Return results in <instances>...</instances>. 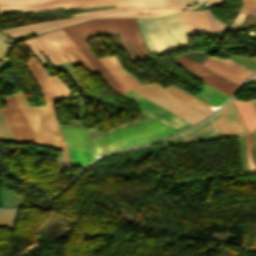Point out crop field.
<instances>
[{
  "label": "crop field",
  "instance_id": "ac0d7876",
  "mask_svg": "<svg viewBox=\"0 0 256 256\" xmlns=\"http://www.w3.org/2000/svg\"><path fill=\"white\" fill-rule=\"evenodd\" d=\"M63 30L73 41L76 47L81 51V53L86 57V59L91 63V65L96 69V71L101 75V77L106 81V83L111 87V89L120 95L126 92L114 79L110 72L105 68V66L100 62V60L90 51L87 45L88 41L84 36L102 32H118L125 49L134 60H138V58L133 53L128 43V40L140 59H143L144 57H149V54L142 42L139 29L134 18L96 19L93 21L63 28ZM129 34L138 46L139 50L143 53L144 57L134 45ZM126 37L128 38V40Z\"/></svg>",
  "mask_w": 256,
  "mask_h": 256
},
{
  "label": "crop field",
  "instance_id": "730fd06b",
  "mask_svg": "<svg viewBox=\"0 0 256 256\" xmlns=\"http://www.w3.org/2000/svg\"><path fill=\"white\" fill-rule=\"evenodd\" d=\"M6 38L7 36L0 33V61L8 54L9 49L11 47L2 42Z\"/></svg>",
  "mask_w": 256,
  "mask_h": 256
},
{
  "label": "crop field",
  "instance_id": "4177f3b9",
  "mask_svg": "<svg viewBox=\"0 0 256 256\" xmlns=\"http://www.w3.org/2000/svg\"><path fill=\"white\" fill-rule=\"evenodd\" d=\"M244 5L241 12L256 15V0H242Z\"/></svg>",
  "mask_w": 256,
  "mask_h": 256
},
{
  "label": "crop field",
  "instance_id": "8a807250",
  "mask_svg": "<svg viewBox=\"0 0 256 256\" xmlns=\"http://www.w3.org/2000/svg\"><path fill=\"white\" fill-rule=\"evenodd\" d=\"M125 98L138 103L143 118L130 122L93 140L96 155L118 148L150 142L192 125L173 113L130 91Z\"/></svg>",
  "mask_w": 256,
  "mask_h": 256
},
{
  "label": "crop field",
  "instance_id": "eef30255",
  "mask_svg": "<svg viewBox=\"0 0 256 256\" xmlns=\"http://www.w3.org/2000/svg\"><path fill=\"white\" fill-rule=\"evenodd\" d=\"M152 7H185V5H171V6H147V7H125V8H119V9H111V10H120V9H134V8H152ZM103 11H110V10H103ZM100 12V11H97ZM87 13H93V12H85L75 15H81V14H87ZM71 15V16H75Z\"/></svg>",
  "mask_w": 256,
  "mask_h": 256
},
{
  "label": "crop field",
  "instance_id": "412701ff",
  "mask_svg": "<svg viewBox=\"0 0 256 256\" xmlns=\"http://www.w3.org/2000/svg\"><path fill=\"white\" fill-rule=\"evenodd\" d=\"M132 91L193 124L213 112L212 107L172 86L163 89L156 84L141 85Z\"/></svg>",
  "mask_w": 256,
  "mask_h": 256
},
{
  "label": "crop field",
  "instance_id": "4a817a6b",
  "mask_svg": "<svg viewBox=\"0 0 256 256\" xmlns=\"http://www.w3.org/2000/svg\"><path fill=\"white\" fill-rule=\"evenodd\" d=\"M234 103L249 132L256 128V112L250 101L240 102L234 100Z\"/></svg>",
  "mask_w": 256,
  "mask_h": 256
},
{
  "label": "crop field",
  "instance_id": "5a996713",
  "mask_svg": "<svg viewBox=\"0 0 256 256\" xmlns=\"http://www.w3.org/2000/svg\"><path fill=\"white\" fill-rule=\"evenodd\" d=\"M13 95L32 131L34 132L39 144L61 149L47 125L44 107L28 106L21 92H17Z\"/></svg>",
  "mask_w": 256,
  "mask_h": 256
},
{
  "label": "crop field",
  "instance_id": "ae1a2a85",
  "mask_svg": "<svg viewBox=\"0 0 256 256\" xmlns=\"http://www.w3.org/2000/svg\"><path fill=\"white\" fill-rule=\"evenodd\" d=\"M244 17H245V14L239 13L238 17L236 18L235 22L232 25V28L237 29V27L240 25Z\"/></svg>",
  "mask_w": 256,
  "mask_h": 256
},
{
  "label": "crop field",
  "instance_id": "d9b57169",
  "mask_svg": "<svg viewBox=\"0 0 256 256\" xmlns=\"http://www.w3.org/2000/svg\"><path fill=\"white\" fill-rule=\"evenodd\" d=\"M101 62L106 66V68L111 72L115 79L120 83V85L129 91L134 87L140 85L136 80L130 77L118 64L115 57L102 58Z\"/></svg>",
  "mask_w": 256,
  "mask_h": 256
},
{
  "label": "crop field",
  "instance_id": "dafd665d",
  "mask_svg": "<svg viewBox=\"0 0 256 256\" xmlns=\"http://www.w3.org/2000/svg\"><path fill=\"white\" fill-rule=\"evenodd\" d=\"M18 210L19 209L0 211V224L14 227Z\"/></svg>",
  "mask_w": 256,
  "mask_h": 256
},
{
  "label": "crop field",
  "instance_id": "214f88e0",
  "mask_svg": "<svg viewBox=\"0 0 256 256\" xmlns=\"http://www.w3.org/2000/svg\"><path fill=\"white\" fill-rule=\"evenodd\" d=\"M207 85H204L203 91L196 96H198L214 105L221 104L224 100H226L229 97V96H227V95H225Z\"/></svg>",
  "mask_w": 256,
  "mask_h": 256
},
{
  "label": "crop field",
  "instance_id": "f4fd0767",
  "mask_svg": "<svg viewBox=\"0 0 256 256\" xmlns=\"http://www.w3.org/2000/svg\"><path fill=\"white\" fill-rule=\"evenodd\" d=\"M45 34L57 47L61 54H64L69 58L73 65L82 64L87 67L93 74L97 73L95 69L90 65V63L75 47V45L71 42V40L67 37V35L63 32L62 29ZM45 34L28 40L26 43L29 48L32 49L40 57L43 63L48 64V62L36 49L34 44L38 47L41 53L48 58L51 64H61L66 62L65 58L60 54V52L55 48V46L51 43V41L46 37Z\"/></svg>",
  "mask_w": 256,
  "mask_h": 256
},
{
  "label": "crop field",
  "instance_id": "a9b5d70f",
  "mask_svg": "<svg viewBox=\"0 0 256 256\" xmlns=\"http://www.w3.org/2000/svg\"><path fill=\"white\" fill-rule=\"evenodd\" d=\"M245 141H246L247 161H248L250 173H251V175H253V174H256V168L252 161L250 134L245 136Z\"/></svg>",
  "mask_w": 256,
  "mask_h": 256
},
{
  "label": "crop field",
  "instance_id": "92a150f3",
  "mask_svg": "<svg viewBox=\"0 0 256 256\" xmlns=\"http://www.w3.org/2000/svg\"><path fill=\"white\" fill-rule=\"evenodd\" d=\"M77 0H0V5L49 4Z\"/></svg>",
  "mask_w": 256,
  "mask_h": 256
},
{
  "label": "crop field",
  "instance_id": "bc2a9ffb",
  "mask_svg": "<svg viewBox=\"0 0 256 256\" xmlns=\"http://www.w3.org/2000/svg\"><path fill=\"white\" fill-rule=\"evenodd\" d=\"M45 111H46V117H47L48 125H49L51 131L53 132L54 136L56 137V139L58 140L59 144L61 145V147L63 149L66 165H70L68 148H67V146L64 142V139L61 135V132H60L58 126H57L56 119H55V116H54L53 106L50 105V106L45 107Z\"/></svg>",
  "mask_w": 256,
  "mask_h": 256
},
{
  "label": "crop field",
  "instance_id": "d8731c3e",
  "mask_svg": "<svg viewBox=\"0 0 256 256\" xmlns=\"http://www.w3.org/2000/svg\"><path fill=\"white\" fill-rule=\"evenodd\" d=\"M25 64L37 83L46 105L55 103L71 94L57 76L50 78L34 57H31Z\"/></svg>",
  "mask_w": 256,
  "mask_h": 256
},
{
  "label": "crop field",
  "instance_id": "d3111659",
  "mask_svg": "<svg viewBox=\"0 0 256 256\" xmlns=\"http://www.w3.org/2000/svg\"><path fill=\"white\" fill-rule=\"evenodd\" d=\"M223 0H208V4L213 7H218L221 5Z\"/></svg>",
  "mask_w": 256,
  "mask_h": 256
},
{
  "label": "crop field",
  "instance_id": "750c4746",
  "mask_svg": "<svg viewBox=\"0 0 256 256\" xmlns=\"http://www.w3.org/2000/svg\"><path fill=\"white\" fill-rule=\"evenodd\" d=\"M252 103H253V105H254V107L256 109V100H252Z\"/></svg>",
  "mask_w": 256,
  "mask_h": 256
},
{
  "label": "crop field",
  "instance_id": "00972430",
  "mask_svg": "<svg viewBox=\"0 0 256 256\" xmlns=\"http://www.w3.org/2000/svg\"><path fill=\"white\" fill-rule=\"evenodd\" d=\"M0 139L16 141L14 135L12 134L10 128L8 127L1 113H0Z\"/></svg>",
  "mask_w": 256,
  "mask_h": 256
},
{
  "label": "crop field",
  "instance_id": "733c2abd",
  "mask_svg": "<svg viewBox=\"0 0 256 256\" xmlns=\"http://www.w3.org/2000/svg\"><path fill=\"white\" fill-rule=\"evenodd\" d=\"M218 132L212 118L182 134L185 141H199Z\"/></svg>",
  "mask_w": 256,
  "mask_h": 256
},
{
  "label": "crop field",
  "instance_id": "dd49c442",
  "mask_svg": "<svg viewBox=\"0 0 256 256\" xmlns=\"http://www.w3.org/2000/svg\"><path fill=\"white\" fill-rule=\"evenodd\" d=\"M202 0H86L50 5L0 6V13L44 12L76 10L96 6H142L153 4L199 3Z\"/></svg>",
  "mask_w": 256,
  "mask_h": 256
},
{
  "label": "crop field",
  "instance_id": "22f410ed",
  "mask_svg": "<svg viewBox=\"0 0 256 256\" xmlns=\"http://www.w3.org/2000/svg\"><path fill=\"white\" fill-rule=\"evenodd\" d=\"M187 37L226 28L212 18L209 10L178 13Z\"/></svg>",
  "mask_w": 256,
  "mask_h": 256
},
{
  "label": "crop field",
  "instance_id": "bd1437ed",
  "mask_svg": "<svg viewBox=\"0 0 256 256\" xmlns=\"http://www.w3.org/2000/svg\"><path fill=\"white\" fill-rule=\"evenodd\" d=\"M253 80H256V76L252 78Z\"/></svg>",
  "mask_w": 256,
  "mask_h": 256
},
{
  "label": "crop field",
  "instance_id": "28ad6ade",
  "mask_svg": "<svg viewBox=\"0 0 256 256\" xmlns=\"http://www.w3.org/2000/svg\"><path fill=\"white\" fill-rule=\"evenodd\" d=\"M173 59L178 65L188 69L191 74L197 76L204 83L229 96L238 87V85L230 82L229 80L221 77L220 75L212 72L211 70L203 67L202 65L192 61L191 59L183 55L173 57Z\"/></svg>",
  "mask_w": 256,
  "mask_h": 256
},
{
  "label": "crop field",
  "instance_id": "e52e79f7",
  "mask_svg": "<svg viewBox=\"0 0 256 256\" xmlns=\"http://www.w3.org/2000/svg\"><path fill=\"white\" fill-rule=\"evenodd\" d=\"M181 10H185V9H148V10H139V11H127V12L85 15V16L63 19V20H59V21L28 25V26L12 28V29H5V30H0V31H2L10 36H17V35H22V34L33 33V32H38V31L61 27V26L77 23L80 21H84L89 18H102V17H114V16H154V15H163V14H167V13H171V12H175V11H181ZM161 11H166V12L162 13V14L126 15V14H133V13L161 12Z\"/></svg>",
  "mask_w": 256,
  "mask_h": 256
},
{
  "label": "crop field",
  "instance_id": "cbeb9de0",
  "mask_svg": "<svg viewBox=\"0 0 256 256\" xmlns=\"http://www.w3.org/2000/svg\"><path fill=\"white\" fill-rule=\"evenodd\" d=\"M212 118L222 138L248 133L232 99Z\"/></svg>",
  "mask_w": 256,
  "mask_h": 256
},
{
  "label": "crop field",
  "instance_id": "3316defc",
  "mask_svg": "<svg viewBox=\"0 0 256 256\" xmlns=\"http://www.w3.org/2000/svg\"><path fill=\"white\" fill-rule=\"evenodd\" d=\"M59 128L69 148L71 165H84L94 159L86 129L62 126Z\"/></svg>",
  "mask_w": 256,
  "mask_h": 256
},
{
  "label": "crop field",
  "instance_id": "d1516ede",
  "mask_svg": "<svg viewBox=\"0 0 256 256\" xmlns=\"http://www.w3.org/2000/svg\"><path fill=\"white\" fill-rule=\"evenodd\" d=\"M7 107L0 108L17 141L38 143L13 95L4 98Z\"/></svg>",
  "mask_w": 256,
  "mask_h": 256
},
{
  "label": "crop field",
  "instance_id": "34b2d1b8",
  "mask_svg": "<svg viewBox=\"0 0 256 256\" xmlns=\"http://www.w3.org/2000/svg\"><path fill=\"white\" fill-rule=\"evenodd\" d=\"M137 22L153 55L189 47L177 13L161 18H141Z\"/></svg>",
  "mask_w": 256,
  "mask_h": 256
},
{
  "label": "crop field",
  "instance_id": "5142ce71",
  "mask_svg": "<svg viewBox=\"0 0 256 256\" xmlns=\"http://www.w3.org/2000/svg\"><path fill=\"white\" fill-rule=\"evenodd\" d=\"M202 65L224 76L236 84H240L252 72L231 61L211 57Z\"/></svg>",
  "mask_w": 256,
  "mask_h": 256
}]
</instances>
